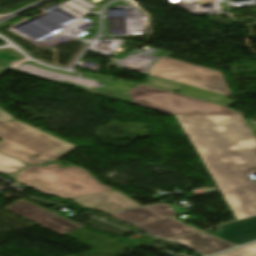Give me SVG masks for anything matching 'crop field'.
<instances>
[{"mask_svg": "<svg viewBox=\"0 0 256 256\" xmlns=\"http://www.w3.org/2000/svg\"><path fill=\"white\" fill-rule=\"evenodd\" d=\"M237 220L256 215V141L241 116H176Z\"/></svg>", "mask_w": 256, "mask_h": 256, "instance_id": "obj_1", "label": "crop field"}, {"mask_svg": "<svg viewBox=\"0 0 256 256\" xmlns=\"http://www.w3.org/2000/svg\"><path fill=\"white\" fill-rule=\"evenodd\" d=\"M15 179L46 195L71 198L85 208L104 213L140 207L117 190L101 185L87 171L74 166L60 169L58 163L46 167L30 165L19 171Z\"/></svg>", "mask_w": 256, "mask_h": 256, "instance_id": "obj_2", "label": "crop field"}, {"mask_svg": "<svg viewBox=\"0 0 256 256\" xmlns=\"http://www.w3.org/2000/svg\"><path fill=\"white\" fill-rule=\"evenodd\" d=\"M0 139V152L36 165L55 161L77 147L20 121L0 122Z\"/></svg>", "mask_w": 256, "mask_h": 256, "instance_id": "obj_3", "label": "crop field"}, {"mask_svg": "<svg viewBox=\"0 0 256 256\" xmlns=\"http://www.w3.org/2000/svg\"><path fill=\"white\" fill-rule=\"evenodd\" d=\"M135 105L171 115H238L224 106L180 96L139 84L129 92Z\"/></svg>", "mask_w": 256, "mask_h": 256, "instance_id": "obj_4", "label": "crop field"}, {"mask_svg": "<svg viewBox=\"0 0 256 256\" xmlns=\"http://www.w3.org/2000/svg\"><path fill=\"white\" fill-rule=\"evenodd\" d=\"M147 71L151 76L231 95L220 71L169 59L164 56Z\"/></svg>", "mask_w": 256, "mask_h": 256, "instance_id": "obj_5", "label": "crop field"}, {"mask_svg": "<svg viewBox=\"0 0 256 256\" xmlns=\"http://www.w3.org/2000/svg\"><path fill=\"white\" fill-rule=\"evenodd\" d=\"M174 214L170 205L163 203L110 215L164 239L197 231L172 220L169 216Z\"/></svg>", "mask_w": 256, "mask_h": 256, "instance_id": "obj_6", "label": "crop field"}, {"mask_svg": "<svg viewBox=\"0 0 256 256\" xmlns=\"http://www.w3.org/2000/svg\"><path fill=\"white\" fill-rule=\"evenodd\" d=\"M5 208L36 223H39L61 235L82 227L23 199Z\"/></svg>", "mask_w": 256, "mask_h": 256, "instance_id": "obj_7", "label": "crop field"}, {"mask_svg": "<svg viewBox=\"0 0 256 256\" xmlns=\"http://www.w3.org/2000/svg\"><path fill=\"white\" fill-rule=\"evenodd\" d=\"M218 232L204 231L213 236L240 245L256 239V216L217 226Z\"/></svg>", "mask_w": 256, "mask_h": 256, "instance_id": "obj_8", "label": "crop field"}, {"mask_svg": "<svg viewBox=\"0 0 256 256\" xmlns=\"http://www.w3.org/2000/svg\"><path fill=\"white\" fill-rule=\"evenodd\" d=\"M173 242L180 243L187 246L204 256L212 253L234 247L224 241L214 238L210 235L202 233L200 231L189 233L186 235L178 236L175 238L167 239Z\"/></svg>", "mask_w": 256, "mask_h": 256, "instance_id": "obj_9", "label": "crop field"}, {"mask_svg": "<svg viewBox=\"0 0 256 256\" xmlns=\"http://www.w3.org/2000/svg\"><path fill=\"white\" fill-rule=\"evenodd\" d=\"M178 92L180 95L224 105L226 107L233 105V101L227 99L226 97H222V96H218V95H214V94H210V93H206V92H202V91H198V90H194L186 87L182 88Z\"/></svg>", "mask_w": 256, "mask_h": 256, "instance_id": "obj_10", "label": "crop field"}, {"mask_svg": "<svg viewBox=\"0 0 256 256\" xmlns=\"http://www.w3.org/2000/svg\"><path fill=\"white\" fill-rule=\"evenodd\" d=\"M26 166V163L0 153V174L16 171Z\"/></svg>", "mask_w": 256, "mask_h": 256, "instance_id": "obj_11", "label": "crop field"}, {"mask_svg": "<svg viewBox=\"0 0 256 256\" xmlns=\"http://www.w3.org/2000/svg\"><path fill=\"white\" fill-rule=\"evenodd\" d=\"M143 84L154 87V88L170 91V92L178 91L183 87V86H179L176 84L168 83V82L150 78V77H148Z\"/></svg>", "mask_w": 256, "mask_h": 256, "instance_id": "obj_12", "label": "crop field"}, {"mask_svg": "<svg viewBox=\"0 0 256 256\" xmlns=\"http://www.w3.org/2000/svg\"><path fill=\"white\" fill-rule=\"evenodd\" d=\"M216 256H256V242Z\"/></svg>", "mask_w": 256, "mask_h": 256, "instance_id": "obj_13", "label": "crop field"}, {"mask_svg": "<svg viewBox=\"0 0 256 256\" xmlns=\"http://www.w3.org/2000/svg\"><path fill=\"white\" fill-rule=\"evenodd\" d=\"M10 120H16V119L0 108V121H10Z\"/></svg>", "mask_w": 256, "mask_h": 256, "instance_id": "obj_14", "label": "crop field"}, {"mask_svg": "<svg viewBox=\"0 0 256 256\" xmlns=\"http://www.w3.org/2000/svg\"><path fill=\"white\" fill-rule=\"evenodd\" d=\"M254 133H256V123H248Z\"/></svg>", "mask_w": 256, "mask_h": 256, "instance_id": "obj_15", "label": "crop field"}, {"mask_svg": "<svg viewBox=\"0 0 256 256\" xmlns=\"http://www.w3.org/2000/svg\"><path fill=\"white\" fill-rule=\"evenodd\" d=\"M255 136H256V134H255Z\"/></svg>", "mask_w": 256, "mask_h": 256, "instance_id": "obj_16", "label": "crop field"}]
</instances>
